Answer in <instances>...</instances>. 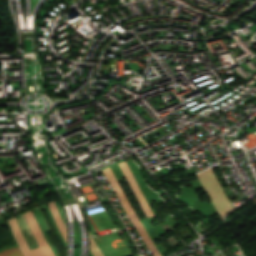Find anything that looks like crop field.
<instances>
[{
  "mask_svg": "<svg viewBox=\"0 0 256 256\" xmlns=\"http://www.w3.org/2000/svg\"><path fill=\"white\" fill-rule=\"evenodd\" d=\"M24 214H25L27 223H28L37 243L41 247L38 249L30 250L23 239V236L21 234V231L19 229L16 219L15 218L11 219L10 223L12 225L15 237H16L21 249L25 253V255L26 256H55L52 253V251L50 250V248L46 242V239H45L44 235L42 234V232L35 220V217L31 213V211L25 212Z\"/></svg>",
  "mask_w": 256,
  "mask_h": 256,
  "instance_id": "obj_1",
  "label": "crop field"
},
{
  "mask_svg": "<svg viewBox=\"0 0 256 256\" xmlns=\"http://www.w3.org/2000/svg\"><path fill=\"white\" fill-rule=\"evenodd\" d=\"M104 173V175L106 176V178L108 179L112 189L114 190V192L116 193L120 203L122 204L125 212L127 213V215L129 216L132 224L134 225L135 229L137 230V232L140 234L141 238L143 239L144 243L146 244L148 250L150 251V253L153 256H160L158 254V252L156 251L149 235L147 234L144 226L142 225V223L140 222L139 218L137 217V215L135 214V212L133 211L132 207L130 206L122 188L120 187V185L118 184V182L116 181L110 167L106 170L102 171Z\"/></svg>",
  "mask_w": 256,
  "mask_h": 256,
  "instance_id": "obj_2",
  "label": "crop field"
},
{
  "mask_svg": "<svg viewBox=\"0 0 256 256\" xmlns=\"http://www.w3.org/2000/svg\"><path fill=\"white\" fill-rule=\"evenodd\" d=\"M206 193L210 197L215 209L218 213L223 216L230 211L233 207L227 199L223 189L216 180V177L212 171L209 169L198 175Z\"/></svg>",
  "mask_w": 256,
  "mask_h": 256,
  "instance_id": "obj_3",
  "label": "crop field"
},
{
  "mask_svg": "<svg viewBox=\"0 0 256 256\" xmlns=\"http://www.w3.org/2000/svg\"><path fill=\"white\" fill-rule=\"evenodd\" d=\"M119 166H120L121 170L123 171V173H124V175H125V177H126L128 183H129V185H130V187H131V189H132V191H133L135 197L137 198V200H138L140 206H141L142 209L144 210V212H145V214L147 215V217L153 216L152 211L150 210L148 204L146 203V201H145V199L143 198V196H142L140 190L138 189V187H137V185H136V183H135V181H134V179H133V177H132V175H131L129 169L127 168L125 162L119 163Z\"/></svg>",
  "mask_w": 256,
  "mask_h": 256,
  "instance_id": "obj_4",
  "label": "crop field"
},
{
  "mask_svg": "<svg viewBox=\"0 0 256 256\" xmlns=\"http://www.w3.org/2000/svg\"><path fill=\"white\" fill-rule=\"evenodd\" d=\"M49 209H50V211H51V213H52V215H53V217H54V219H55V221L58 225V228H59L62 236L64 237V239L67 243V240H66V226L63 223V221H62V219L59 215V212H58V210H57L53 201L49 203Z\"/></svg>",
  "mask_w": 256,
  "mask_h": 256,
  "instance_id": "obj_5",
  "label": "crop field"
},
{
  "mask_svg": "<svg viewBox=\"0 0 256 256\" xmlns=\"http://www.w3.org/2000/svg\"><path fill=\"white\" fill-rule=\"evenodd\" d=\"M0 256H24L21 249L19 247L4 250V252L0 253Z\"/></svg>",
  "mask_w": 256,
  "mask_h": 256,
  "instance_id": "obj_6",
  "label": "crop field"
},
{
  "mask_svg": "<svg viewBox=\"0 0 256 256\" xmlns=\"http://www.w3.org/2000/svg\"><path fill=\"white\" fill-rule=\"evenodd\" d=\"M89 239H90V250L94 254V256H104L103 253L100 251V249L95 244V242H94L92 236L90 235V233H89Z\"/></svg>",
  "mask_w": 256,
  "mask_h": 256,
  "instance_id": "obj_7",
  "label": "crop field"
},
{
  "mask_svg": "<svg viewBox=\"0 0 256 256\" xmlns=\"http://www.w3.org/2000/svg\"><path fill=\"white\" fill-rule=\"evenodd\" d=\"M20 217H21V219H22V221H23V223H24V225H25V227H26V229H27L28 233L30 234L31 232L29 231V229H28V227H27V225H26V222H25V220H24L23 216L21 215ZM18 221H19V223H20V225H21L22 229L24 230L25 228H24V226H23V224H22L21 220L19 219Z\"/></svg>",
  "mask_w": 256,
  "mask_h": 256,
  "instance_id": "obj_8",
  "label": "crop field"
}]
</instances>
